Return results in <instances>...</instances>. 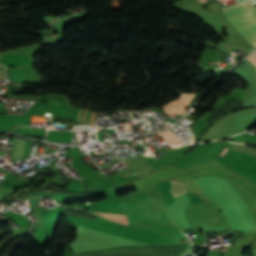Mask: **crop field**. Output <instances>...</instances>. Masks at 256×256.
Listing matches in <instances>:
<instances>
[{"label":"crop field","mask_w":256,"mask_h":256,"mask_svg":"<svg viewBox=\"0 0 256 256\" xmlns=\"http://www.w3.org/2000/svg\"><path fill=\"white\" fill-rule=\"evenodd\" d=\"M171 184L173 185V187L170 192L172 193V195L174 197L187 191V189H185L183 187V185L181 184V182H179V181H171Z\"/></svg>","instance_id":"obj_6"},{"label":"crop field","mask_w":256,"mask_h":256,"mask_svg":"<svg viewBox=\"0 0 256 256\" xmlns=\"http://www.w3.org/2000/svg\"><path fill=\"white\" fill-rule=\"evenodd\" d=\"M97 214H99L109 220H113V221L119 222L121 224L128 225L125 215H114V214H106V213H97Z\"/></svg>","instance_id":"obj_5"},{"label":"crop field","mask_w":256,"mask_h":256,"mask_svg":"<svg viewBox=\"0 0 256 256\" xmlns=\"http://www.w3.org/2000/svg\"><path fill=\"white\" fill-rule=\"evenodd\" d=\"M227 149H225V151H226ZM225 151L223 152V154L225 153Z\"/></svg>","instance_id":"obj_8"},{"label":"crop field","mask_w":256,"mask_h":256,"mask_svg":"<svg viewBox=\"0 0 256 256\" xmlns=\"http://www.w3.org/2000/svg\"><path fill=\"white\" fill-rule=\"evenodd\" d=\"M194 95L185 94L178 99L164 105L162 108L168 114L184 111Z\"/></svg>","instance_id":"obj_3"},{"label":"crop field","mask_w":256,"mask_h":256,"mask_svg":"<svg viewBox=\"0 0 256 256\" xmlns=\"http://www.w3.org/2000/svg\"><path fill=\"white\" fill-rule=\"evenodd\" d=\"M238 32L256 46V7L246 0L223 9Z\"/></svg>","instance_id":"obj_2"},{"label":"crop field","mask_w":256,"mask_h":256,"mask_svg":"<svg viewBox=\"0 0 256 256\" xmlns=\"http://www.w3.org/2000/svg\"><path fill=\"white\" fill-rule=\"evenodd\" d=\"M117 198L129 224L146 227L179 240L190 242L177 230L164 213L163 198L156 184H153L150 188Z\"/></svg>","instance_id":"obj_1"},{"label":"crop field","mask_w":256,"mask_h":256,"mask_svg":"<svg viewBox=\"0 0 256 256\" xmlns=\"http://www.w3.org/2000/svg\"><path fill=\"white\" fill-rule=\"evenodd\" d=\"M247 60H249L251 63H253L256 67V52L253 53L252 55H250L248 58H246Z\"/></svg>","instance_id":"obj_7"},{"label":"crop field","mask_w":256,"mask_h":256,"mask_svg":"<svg viewBox=\"0 0 256 256\" xmlns=\"http://www.w3.org/2000/svg\"><path fill=\"white\" fill-rule=\"evenodd\" d=\"M166 143H182L170 130L158 134Z\"/></svg>","instance_id":"obj_4"}]
</instances>
